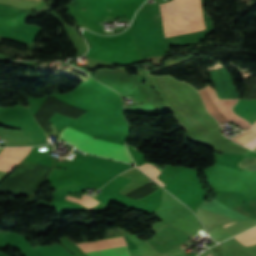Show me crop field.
<instances>
[{
	"label": "crop field",
	"mask_w": 256,
	"mask_h": 256,
	"mask_svg": "<svg viewBox=\"0 0 256 256\" xmlns=\"http://www.w3.org/2000/svg\"><path fill=\"white\" fill-rule=\"evenodd\" d=\"M141 170H143L145 173H147L150 177H152L155 181H157L160 185L163 187L165 186L162 184L159 180H157L155 177L161 172L158 170L153 164H145L143 166L138 167Z\"/></svg>",
	"instance_id": "obj_7"
},
{
	"label": "crop field",
	"mask_w": 256,
	"mask_h": 256,
	"mask_svg": "<svg viewBox=\"0 0 256 256\" xmlns=\"http://www.w3.org/2000/svg\"><path fill=\"white\" fill-rule=\"evenodd\" d=\"M124 245H126V244H125L123 237L116 238V239H108V240H101V241L78 244V246L85 253L119 247V246H124Z\"/></svg>",
	"instance_id": "obj_3"
},
{
	"label": "crop field",
	"mask_w": 256,
	"mask_h": 256,
	"mask_svg": "<svg viewBox=\"0 0 256 256\" xmlns=\"http://www.w3.org/2000/svg\"><path fill=\"white\" fill-rule=\"evenodd\" d=\"M210 256H212V255H210Z\"/></svg>",
	"instance_id": "obj_11"
},
{
	"label": "crop field",
	"mask_w": 256,
	"mask_h": 256,
	"mask_svg": "<svg viewBox=\"0 0 256 256\" xmlns=\"http://www.w3.org/2000/svg\"><path fill=\"white\" fill-rule=\"evenodd\" d=\"M254 137H256V126L246 132L238 134L236 137L232 138V140L244 145L246 142L253 139Z\"/></svg>",
	"instance_id": "obj_6"
},
{
	"label": "crop field",
	"mask_w": 256,
	"mask_h": 256,
	"mask_svg": "<svg viewBox=\"0 0 256 256\" xmlns=\"http://www.w3.org/2000/svg\"><path fill=\"white\" fill-rule=\"evenodd\" d=\"M236 223V222H235ZM232 224H234V223H230V224H226V225H222L224 228H226V227H228V226H230V225H232Z\"/></svg>",
	"instance_id": "obj_10"
},
{
	"label": "crop field",
	"mask_w": 256,
	"mask_h": 256,
	"mask_svg": "<svg viewBox=\"0 0 256 256\" xmlns=\"http://www.w3.org/2000/svg\"><path fill=\"white\" fill-rule=\"evenodd\" d=\"M245 146H247L251 149L255 148L256 147V138L251 140L250 142L246 143Z\"/></svg>",
	"instance_id": "obj_9"
},
{
	"label": "crop field",
	"mask_w": 256,
	"mask_h": 256,
	"mask_svg": "<svg viewBox=\"0 0 256 256\" xmlns=\"http://www.w3.org/2000/svg\"><path fill=\"white\" fill-rule=\"evenodd\" d=\"M234 164H237V165L245 168V167L256 164V157L250 158V159H247V160H244V161H241V162H237V163H234Z\"/></svg>",
	"instance_id": "obj_8"
},
{
	"label": "crop field",
	"mask_w": 256,
	"mask_h": 256,
	"mask_svg": "<svg viewBox=\"0 0 256 256\" xmlns=\"http://www.w3.org/2000/svg\"><path fill=\"white\" fill-rule=\"evenodd\" d=\"M236 238L243 243L245 246H251L256 244V228L249 230L247 232H244Z\"/></svg>",
	"instance_id": "obj_5"
},
{
	"label": "crop field",
	"mask_w": 256,
	"mask_h": 256,
	"mask_svg": "<svg viewBox=\"0 0 256 256\" xmlns=\"http://www.w3.org/2000/svg\"><path fill=\"white\" fill-rule=\"evenodd\" d=\"M160 8L166 37L205 29L200 0H174Z\"/></svg>",
	"instance_id": "obj_1"
},
{
	"label": "crop field",
	"mask_w": 256,
	"mask_h": 256,
	"mask_svg": "<svg viewBox=\"0 0 256 256\" xmlns=\"http://www.w3.org/2000/svg\"><path fill=\"white\" fill-rule=\"evenodd\" d=\"M220 100L223 104V107H224L227 115L229 116V118L231 119L232 122L236 123L243 129H247L250 127L248 122H246L244 119L235 115L233 113V111L231 110V107L236 103L237 99H220Z\"/></svg>",
	"instance_id": "obj_4"
},
{
	"label": "crop field",
	"mask_w": 256,
	"mask_h": 256,
	"mask_svg": "<svg viewBox=\"0 0 256 256\" xmlns=\"http://www.w3.org/2000/svg\"><path fill=\"white\" fill-rule=\"evenodd\" d=\"M61 138L78 147L84 152L134 164L124 145L100 139L94 140L93 137L80 133L70 127H67L64 131H62Z\"/></svg>",
	"instance_id": "obj_2"
}]
</instances>
